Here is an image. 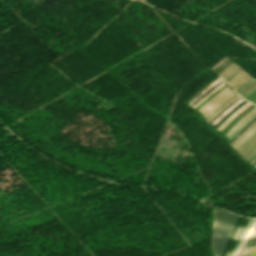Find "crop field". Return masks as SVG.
I'll return each mask as SVG.
<instances>
[{"mask_svg": "<svg viewBox=\"0 0 256 256\" xmlns=\"http://www.w3.org/2000/svg\"><path fill=\"white\" fill-rule=\"evenodd\" d=\"M238 216L215 207L212 248L215 256H220L229 233Z\"/></svg>", "mask_w": 256, "mask_h": 256, "instance_id": "1", "label": "crop field"}, {"mask_svg": "<svg viewBox=\"0 0 256 256\" xmlns=\"http://www.w3.org/2000/svg\"><path fill=\"white\" fill-rule=\"evenodd\" d=\"M231 90L232 89L229 86L225 87L222 91H220L215 97H213L210 101H208L205 105H203L197 111L201 114ZM235 94L236 93L232 90L227 95H225L222 99H220L217 103L211 106L208 110L202 113L201 116L205 119L208 115L214 112L217 108H219L223 103H225L228 99H230Z\"/></svg>", "mask_w": 256, "mask_h": 256, "instance_id": "2", "label": "crop field"}, {"mask_svg": "<svg viewBox=\"0 0 256 256\" xmlns=\"http://www.w3.org/2000/svg\"><path fill=\"white\" fill-rule=\"evenodd\" d=\"M248 74L243 70L242 72H240L237 76H235L231 81H229V85L230 86H235L238 82H240L245 76H247ZM252 77L250 75H248L246 78H244L240 83H238L235 87H233L235 90L237 88H239L241 85H243L245 82H247L249 79H251Z\"/></svg>", "mask_w": 256, "mask_h": 256, "instance_id": "3", "label": "crop field"}, {"mask_svg": "<svg viewBox=\"0 0 256 256\" xmlns=\"http://www.w3.org/2000/svg\"><path fill=\"white\" fill-rule=\"evenodd\" d=\"M247 220H248V218H245V217L243 218V220H242V222H241V224H240V226H239V228H238V230H237V232H236V234H235V236H234V238H233L225 256H229L231 251L234 249V247H235V245H236V243H237V241H238V239L241 235V232H242Z\"/></svg>", "mask_w": 256, "mask_h": 256, "instance_id": "4", "label": "crop field"}, {"mask_svg": "<svg viewBox=\"0 0 256 256\" xmlns=\"http://www.w3.org/2000/svg\"><path fill=\"white\" fill-rule=\"evenodd\" d=\"M256 131V123L250 127L237 141H235L232 146L235 149L238 145H240L247 137H249L253 132Z\"/></svg>", "mask_w": 256, "mask_h": 256, "instance_id": "5", "label": "crop field"}, {"mask_svg": "<svg viewBox=\"0 0 256 256\" xmlns=\"http://www.w3.org/2000/svg\"><path fill=\"white\" fill-rule=\"evenodd\" d=\"M252 136H253V135H252ZM254 136H256V134H255ZM254 136H253V137H254ZM253 137H252V138H253ZM252 138H250L243 146H245ZM254 138H255V137H254ZM254 138H253V139H254ZM253 139H252V140H253ZM255 139H256V138H255ZM255 139H254V140H255ZM246 140H247V139H246ZM246 140H245V141H246ZM252 140H251V141H252ZM254 140H253V141H254ZM245 141H244V142H245ZM251 141H250V142H251ZM253 141H252V142H253ZM244 142H243V143H244ZM250 142H249V143H250ZM252 142H251V143H252ZM243 143H242V144H243ZM249 143H248V144H249ZM251 143H250V144H251ZM255 143H256V140H255L251 145L249 144L250 146L247 144V145L249 146V147H248V146L246 145V146L248 147L247 149H245L246 147L244 148V147L241 145V146L245 149V150H244V149L240 146V147L244 150V151H243V150L239 147V148L243 151V152H242V151L238 148L242 153H241L238 149H237V150L243 155V154H244L253 144H255ZM255 147H256V144L251 148V150L249 149L250 151L248 150L249 152L247 151L248 153L246 152L247 154L245 153L246 155L244 154L245 156L243 155L244 158H245ZM255 150H256V148H255L246 158L248 159V158L250 157V155H251Z\"/></svg>", "mask_w": 256, "mask_h": 256, "instance_id": "6", "label": "crop field"}, {"mask_svg": "<svg viewBox=\"0 0 256 256\" xmlns=\"http://www.w3.org/2000/svg\"><path fill=\"white\" fill-rule=\"evenodd\" d=\"M241 219H242V217L239 216L238 219H237V221H236V223H235V225H234V227H233V229H232V231H231V233H230L231 236L228 238V240H227V242H226V245H225V247H224V249H223V251H222L221 256H224V255H225V252H226V250H227V248H228V246H229V244H230V242H231V240H232V238H233V236H234V233H235V231H236V229H237V227H238V225H239Z\"/></svg>", "mask_w": 256, "mask_h": 256, "instance_id": "7", "label": "crop field"}, {"mask_svg": "<svg viewBox=\"0 0 256 256\" xmlns=\"http://www.w3.org/2000/svg\"><path fill=\"white\" fill-rule=\"evenodd\" d=\"M253 221H254L253 218H250V219H249V221H248V223H247V225H246V227H245V229H244V231H243V233H242V235H241V238H240V240H239L237 246L235 247L233 253L231 254V256L234 255L235 251L237 250L238 246L240 245V243L242 242L243 238L245 237L247 231L249 230L250 226L252 225Z\"/></svg>", "mask_w": 256, "mask_h": 256, "instance_id": "8", "label": "crop field"}, {"mask_svg": "<svg viewBox=\"0 0 256 256\" xmlns=\"http://www.w3.org/2000/svg\"><path fill=\"white\" fill-rule=\"evenodd\" d=\"M256 236V228H255V230L253 231V233L251 234V236L249 237V239H248V241H247V243H246V245H245V247H244V249L242 250V252H241V254H240V256H242L244 253H245V251L247 250V248L249 247V245H250V243L252 242V240L254 239V237ZM239 256V255H238Z\"/></svg>", "mask_w": 256, "mask_h": 256, "instance_id": "9", "label": "crop field"}, {"mask_svg": "<svg viewBox=\"0 0 256 256\" xmlns=\"http://www.w3.org/2000/svg\"><path fill=\"white\" fill-rule=\"evenodd\" d=\"M255 115H256V112H255L253 115H251L239 128H241L243 125H245V124H246L252 117H254ZM255 117H256V116H255ZM255 117H254V118H255ZM254 118H252L250 121H252ZM250 121H249V122H250ZM249 122H248V123H249ZM248 123H247V124H248ZM247 124H246V125H247ZM246 125H245V126H246ZM245 126H243L242 128H244ZM239 128H237V129L229 136V138H230ZM242 128H241V129H242ZM241 129H239V130L229 139V141H230Z\"/></svg>", "mask_w": 256, "mask_h": 256, "instance_id": "10", "label": "crop field"}, {"mask_svg": "<svg viewBox=\"0 0 256 256\" xmlns=\"http://www.w3.org/2000/svg\"><path fill=\"white\" fill-rule=\"evenodd\" d=\"M247 103V101L242 104L238 109H236L234 112H232L229 116H227L217 127L216 129H218L221 125H223L236 111H238L243 105H245Z\"/></svg>", "mask_w": 256, "mask_h": 256, "instance_id": "11", "label": "crop field"}, {"mask_svg": "<svg viewBox=\"0 0 256 256\" xmlns=\"http://www.w3.org/2000/svg\"><path fill=\"white\" fill-rule=\"evenodd\" d=\"M256 111V109L253 111V112H251L250 114H248L229 134H228V136L238 127V126H240L251 114H253L254 112Z\"/></svg>", "mask_w": 256, "mask_h": 256, "instance_id": "12", "label": "crop field"}, {"mask_svg": "<svg viewBox=\"0 0 256 256\" xmlns=\"http://www.w3.org/2000/svg\"><path fill=\"white\" fill-rule=\"evenodd\" d=\"M255 79L249 80L247 83H245L243 86H241L239 89L236 90V92H240L242 89H244L246 86H248L250 83H252Z\"/></svg>", "mask_w": 256, "mask_h": 256, "instance_id": "13", "label": "crop field"}, {"mask_svg": "<svg viewBox=\"0 0 256 256\" xmlns=\"http://www.w3.org/2000/svg\"><path fill=\"white\" fill-rule=\"evenodd\" d=\"M237 64L233 63L232 65H230L227 69H225L221 74H219V76H223L225 75L229 70H231L234 66H236Z\"/></svg>", "mask_w": 256, "mask_h": 256, "instance_id": "14", "label": "crop field"}, {"mask_svg": "<svg viewBox=\"0 0 256 256\" xmlns=\"http://www.w3.org/2000/svg\"><path fill=\"white\" fill-rule=\"evenodd\" d=\"M256 244V238L255 240L253 241V243L250 245V247L248 248V250L246 251L245 255L244 256H248V254L250 253V251L253 249V247L255 246Z\"/></svg>", "mask_w": 256, "mask_h": 256, "instance_id": "15", "label": "crop field"}, {"mask_svg": "<svg viewBox=\"0 0 256 256\" xmlns=\"http://www.w3.org/2000/svg\"><path fill=\"white\" fill-rule=\"evenodd\" d=\"M254 85H256V81H254L252 84H250L248 87H246L244 90H242L240 93L238 94H243L244 92H246L247 90H249L251 87H253Z\"/></svg>", "mask_w": 256, "mask_h": 256, "instance_id": "16", "label": "crop field"}, {"mask_svg": "<svg viewBox=\"0 0 256 256\" xmlns=\"http://www.w3.org/2000/svg\"><path fill=\"white\" fill-rule=\"evenodd\" d=\"M256 94V91H254L252 94H250L249 96H247L245 99H249V98H251L253 95H255ZM256 98V95L255 96H253L251 99H249L248 101H252V100H254Z\"/></svg>", "mask_w": 256, "mask_h": 256, "instance_id": "17", "label": "crop field"}, {"mask_svg": "<svg viewBox=\"0 0 256 256\" xmlns=\"http://www.w3.org/2000/svg\"><path fill=\"white\" fill-rule=\"evenodd\" d=\"M239 68V66L237 65L236 67H234L230 72H228L225 76H223L222 78H226V77H228L231 73H233L236 69H238Z\"/></svg>", "mask_w": 256, "mask_h": 256, "instance_id": "18", "label": "crop field"}, {"mask_svg": "<svg viewBox=\"0 0 256 256\" xmlns=\"http://www.w3.org/2000/svg\"><path fill=\"white\" fill-rule=\"evenodd\" d=\"M254 90H256V86L253 87L251 90H249L247 93H245L242 97H246L247 95H249L250 93H252Z\"/></svg>", "mask_w": 256, "mask_h": 256, "instance_id": "19", "label": "crop field"}, {"mask_svg": "<svg viewBox=\"0 0 256 256\" xmlns=\"http://www.w3.org/2000/svg\"><path fill=\"white\" fill-rule=\"evenodd\" d=\"M255 108H256V107H255ZM255 108H254V109H255ZM254 109H252V110H254ZM252 110H251V111H252ZM251 111H250V112H251ZM250 112H248V113H250ZM248 113H247V114H248ZM247 114H246V115H247ZM246 115H245V116H246ZM245 116H244V117H245ZM244 117H243V118H244ZM243 118H242V119H243ZM242 119H241V120H242ZM241 120H239V121L226 133V135H227Z\"/></svg>", "mask_w": 256, "mask_h": 256, "instance_id": "20", "label": "crop field"}, {"mask_svg": "<svg viewBox=\"0 0 256 256\" xmlns=\"http://www.w3.org/2000/svg\"><path fill=\"white\" fill-rule=\"evenodd\" d=\"M235 96H237V94H236ZM235 96H234V97H235ZM234 97H232V98H234ZM232 98H231V99H232ZM231 99H230V100H231ZM230 100H229V101H230ZM229 101H227V102H229ZM227 102H226V103H227ZM226 103H225V104H226ZM225 104H223L220 108H222ZM220 108H219V109H220ZM219 109H217L215 112H217ZM215 112H214V113H215ZM214 113H212L209 117H211ZM209 117H208V118H209ZM208 118H206L205 120H207Z\"/></svg>", "mask_w": 256, "mask_h": 256, "instance_id": "21", "label": "crop field"}, {"mask_svg": "<svg viewBox=\"0 0 256 256\" xmlns=\"http://www.w3.org/2000/svg\"><path fill=\"white\" fill-rule=\"evenodd\" d=\"M249 256H256V246L254 247Z\"/></svg>", "mask_w": 256, "mask_h": 256, "instance_id": "22", "label": "crop field"}, {"mask_svg": "<svg viewBox=\"0 0 256 256\" xmlns=\"http://www.w3.org/2000/svg\"><path fill=\"white\" fill-rule=\"evenodd\" d=\"M222 89H223V88H222ZM220 90H221V89H220ZM220 90H219V91H220ZM219 91H218V92H219ZM218 92H216L214 95H216ZM214 95H213V96H214ZM213 96H211L208 100H210ZM208 100H206L203 104H205ZM203 104H202V105H203ZM202 105H201V106H202Z\"/></svg>", "mask_w": 256, "mask_h": 256, "instance_id": "23", "label": "crop field"}, {"mask_svg": "<svg viewBox=\"0 0 256 256\" xmlns=\"http://www.w3.org/2000/svg\"><path fill=\"white\" fill-rule=\"evenodd\" d=\"M255 122H256V121H255ZM255 122H254V123H255ZM252 124H253V123H252ZM252 124H251V125H252ZM251 125H250V126H251ZM250 126H249V127H250ZM249 127H248V128H249ZM248 128H247V129H248ZM247 129H246V130H247ZM246 130H245V131H246ZM245 131H244V132H245ZM244 132H243V133H244ZM243 133H242V134H243ZM242 134H241V135H242ZM241 135H240V136H241ZM240 136H239V137H240ZM237 137H238V136H237ZM237 137H236V138H237ZM239 137H238V138H239ZM238 138H237V139H238ZM235 140H236V139H235ZM235 140H234V141H235ZM234 141H233V142H234ZM233 142H232V143H233ZM232 143H231V144H232Z\"/></svg>", "mask_w": 256, "mask_h": 256, "instance_id": "24", "label": "crop field"}, {"mask_svg": "<svg viewBox=\"0 0 256 256\" xmlns=\"http://www.w3.org/2000/svg\"><path fill=\"white\" fill-rule=\"evenodd\" d=\"M235 98H236V97H235ZM235 98H234V99H235ZM234 99H232V100H234ZM232 100H231V101H232ZM231 101H230V102H231ZM230 102H229V103H230ZM226 105H227V104H226ZM226 105H225V106H226ZM225 106H224V107H225ZM224 107H223V108H224ZM223 108H222V109H223ZM219 111H220V110H219ZM219 111H218V112H219ZM218 112H217V113H218ZM214 115H215V114H214ZM214 115H213V116H214ZM213 116H212V117H213ZM212 117H211V118H212ZM211 118H210V119H211ZM210 119H209V120H210ZM209 120H208V121H209ZM208 121H207V122H208Z\"/></svg>", "mask_w": 256, "mask_h": 256, "instance_id": "25", "label": "crop field"}, {"mask_svg": "<svg viewBox=\"0 0 256 256\" xmlns=\"http://www.w3.org/2000/svg\"><path fill=\"white\" fill-rule=\"evenodd\" d=\"M256 154V151L255 153L247 160L248 162L251 160V158Z\"/></svg>", "mask_w": 256, "mask_h": 256, "instance_id": "26", "label": "crop field"}, {"mask_svg": "<svg viewBox=\"0 0 256 256\" xmlns=\"http://www.w3.org/2000/svg\"><path fill=\"white\" fill-rule=\"evenodd\" d=\"M240 69H241V68H240ZM237 71H238V70H237ZM237 71H236V72H237ZM233 74H234V73H233ZM233 74H232V75H233ZM234 75H235V74H234ZM229 77H230V76H229ZM229 77H228V78H229ZM233 77H234V76H233ZM233 77H232V78H233ZM230 78H231V77H230ZM230 78H229V79H230ZM232 78H231V79H232ZM225 80H226V79H225ZM226 81H227V80H226ZM228 81H229V80H228ZM228 81H227V82H228Z\"/></svg>", "mask_w": 256, "mask_h": 256, "instance_id": "27", "label": "crop field"}, {"mask_svg": "<svg viewBox=\"0 0 256 256\" xmlns=\"http://www.w3.org/2000/svg\"><path fill=\"white\" fill-rule=\"evenodd\" d=\"M255 157H256V155L253 157V159H254ZM253 159H252V160H253ZM252 160H251V161H252ZM251 161H250V162H251ZM250 162H249V163H250Z\"/></svg>", "mask_w": 256, "mask_h": 256, "instance_id": "28", "label": "crop field"}, {"mask_svg": "<svg viewBox=\"0 0 256 256\" xmlns=\"http://www.w3.org/2000/svg\"><path fill=\"white\" fill-rule=\"evenodd\" d=\"M256 160V158L251 162V164Z\"/></svg>", "mask_w": 256, "mask_h": 256, "instance_id": "29", "label": "crop field"}, {"mask_svg": "<svg viewBox=\"0 0 256 256\" xmlns=\"http://www.w3.org/2000/svg\"><path fill=\"white\" fill-rule=\"evenodd\" d=\"M255 166H256V164H255Z\"/></svg>", "mask_w": 256, "mask_h": 256, "instance_id": "30", "label": "crop field"}]
</instances>
